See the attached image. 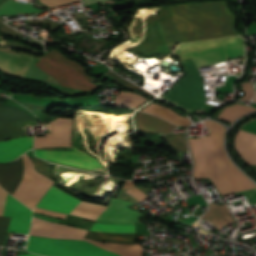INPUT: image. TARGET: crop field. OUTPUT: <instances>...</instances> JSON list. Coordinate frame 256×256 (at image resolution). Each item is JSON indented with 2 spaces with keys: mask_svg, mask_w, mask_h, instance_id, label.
Wrapping results in <instances>:
<instances>
[{
  "mask_svg": "<svg viewBox=\"0 0 256 256\" xmlns=\"http://www.w3.org/2000/svg\"><path fill=\"white\" fill-rule=\"evenodd\" d=\"M90 230L108 233H135L134 225L94 223ZM84 238L98 241L134 242L135 234H107L88 231ZM88 239L84 240L96 244L108 251L119 253L121 256H143V250L140 245L99 243Z\"/></svg>",
  "mask_w": 256,
  "mask_h": 256,
  "instance_id": "7",
  "label": "crop field"
},
{
  "mask_svg": "<svg viewBox=\"0 0 256 256\" xmlns=\"http://www.w3.org/2000/svg\"><path fill=\"white\" fill-rule=\"evenodd\" d=\"M129 194L134 196L137 200L142 201L143 199L147 198L145 194L142 193V191L134 188V189H128L126 190Z\"/></svg>",
  "mask_w": 256,
  "mask_h": 256,
  "instance_id": "28",
  "label": "crop field"
},
{
  "mask_svg": "<svg viewBox=\"0 0 256 256\" xmlns=\"http://www.w3.org/2000/svg\"><path fill=\"white\" fill-rule=\"evenodd\" d=\"M78 202L79 200L52 186L47 194L38 203L37 207L69 214V212L77 205Z\"/></svg>",
  "mask_w": 256,
  "mask_h": 256,
  "instance_id": "13",
  "label": "crop field"
},
{
  "mask_svg": "<svg viewBox=\"0 0 256 256\" xmlns=\"http://www.w3.org/2000/svg\"><path fill=\"white\" fill-rule=\"evenodd\" d=\"M3 216L11 217L8 231L28 234L32 212L10 195L7 196Z\"/></svg>",
  "mask_w": 256,
  "mask_h": 256,
  "instance_id": "12",
  "label": "crop field"
},
{
  "mask_svg": "<svg viewBox=\"0 0 256 256\" xmlns=\"http://www.w3.org/2000/svg\"><path fill=\"white\" fill-rule=\"evenodd\" d=\"M34 59L0 51V71L25 78Z\"/></svg>",
  "mask_w": 256,
  "mask_h": 256,
  "instance_id": "14",
  "label": "crop field"
},
{
  "mask_svg": "<svg viewBox=\"0 0 256 256\" xmlns=\"http://www.w3.org/2000/svg\"><path fill=\"white\" fill-rule=\"evenodd\" d=\"M104 0H85V5L90 4L91 2H102Z\"/></svg>",
  "mask_w": 256,
  "mask_h": 256,
  "instance_id": "33",
  "label": "crop field"
},
{
  "mask_svg": "<svg viewBox=\"0 0 256 256\" xmlns=\"http://www.w3.org/2000/svg\"><path fill=\"white\" fill-rule=\"evenodd\" d=\"M23 172L22 158L12 165H0V186L12 195L23 176Z\"/></svg>",
  "mask_w": 256,
  "mask_h": 256,
  "instance_id": "16",
  "label": "crop field"
},
{
  "mask_svg": "<svg viewBox=\"0 0 256 256\" xmlns=\"http://www.w3.org/2000/svg\"><path fill=\"white\" fill-rule=\"evenodd\" d=\"M130 187H134V184L132 181H127L124 188H130Z\"/></svg>",
  "mask_w": 256,
  "mask_h": 256,
  "instance_id": "32",
  "label": "crop field"
},
{
  "mask_svg": "<svg viewBox=\"0 0 256 256\" xmlns=\"http://www.w3.org/2000/svg\"><path fill=\"white\" fill-rule=\"evenodd\" d=\"M253 101H256V97L254 98V100Z\"/></svg>",
  "mask_w": 256,
  "mask_h": 256,
  "instance_id": "35",
  "label": "crop field"
},
{
  "mask_svg": "<svg viewBox=\"0 0 256 256\" xmlns=\"http://www.w3.org/2000/svg\"><path fill=\"white\" fill-rule=\"evenodd\" d=\"M167 145L177 154L187 152L185 132L165 135L163 138Z\"/></svg>",
  "mask_w": 256,
  "mask_h": 256,
  "instance_id": "20",
  "label": "crop field"
},
{
  "mask_svg": "<svg viewBox=\"0 0 256 256\" xmlns=\"http://www.w3.org/2000/svg\"><path fill=\"white\" fill-rule=\"evenodd\" d=\"M49 125L51 134H47L46 137H36L35 148L70 146L72 119L58 118ZM35 155L89 169L103 167L70 147L39 148L35 149Z\"/></svg>",
  "mask_w": 256,
  "mask_h": 256,
  "instance_id": "4",
  "label": "crop field"
},
{
  "mask_svg": "<svg viewBox=\"0 0 256 256\" xmlns=\"http://www.w3.org/2000/svg\"><path fill=\"white\" fill-rule=\"evenodd\" d=\"M146 100L138 94L121 91L113 104L136 108Z\"/></svg>",
  "mask_w": 256,
  "mask_h": 256,
  "instance_id": "21",
  "label": "crop field"
},
{
  "mask_svg": "<svg viewBox=\"0 0 256 256\" xmlns=\"http://www.w3.org/2000/svg\"><path fill=\"white\" fill-rule=\"evenodd\" d=\"M176 55L180 60L192 57L199 68L243 56L244 40L232 37L179 44ZM192 58L181 61L186 75L161 96L184 111L205 107L203 84Z\"/></svg>",
  "mask_w": 256,
  "mask_h": 256,
  "instance_id": "1",
  "label": "crop field"
},
{
  "mask_svg": "<svg viewBox=\"0 0 256 256\" xmlns=\"http://www.w3.org/2000/svg\"><path fill=\"white\" fill-rule=\"evenodd\" d=\"M23 159L25 166L24 176L12 196L18 198L26 206L33 209L53 182L34 170V165L27 154L23 155Z\"/></svg>",
  "mask_w": 256,
  "mask_h": 256,
  "instance_id": "10",
  "label": "crop field"
},
{
  "mask_svg": "<svg viewBox=\"0 0 256 256\" xmlns=\"http://www.w3.org/2000/svg\"><path fill=\"white\" fill-rule=\"evenodd\" d=\"M73 1H76V0H38L39 3L49 8L60 6Z\"/></svg>",
  "mask_w": 256,
  "mask_h": 256,
  "instance_id": "25",
  "label": "crop field"
},
{
  "mask_svg": "<svg viewBox=\"0 0 256 256\" xmlns=\"http://www.w3.org/2000/svg\"><path fill=\"white\" fill-rule=\"evenodd\" d=\"M22 121H33L20 110L0 105V141L22 136ZM33 146V137L0 142V162L10 161Z\"/></svg>",
  "mask_w": 256,
  "mask_h": 256,
  "instance_id": "5",
  "label": "crop field"
},
{
  "mask_svg": "<svg viewBox=\"0 0 256 256\" xmlns=\"http://www.w3.org/2000/svg\"><path fill=\"white\" fill-rule=\"evenodd\" d=\"M63 224L86 229V230H89V228L92 226V223L89 221H84L81 218H77L69 215H67Z\"/></svg>",
  "mask_w": 256,
  "mask_h": 256,
  "instance_id": "22",
  "label": "crop field"
},
{
  "mask_svg": "<svg viewBox=\"0 0 256 256\" xmlns=\"http://www.w3.org/2000/svg\"><path fill=\"white\" fill-rule=\"evenodd\" d=\"M234 143L237 153L247 165L256 164V135L240 130Z\"/></svg>",
  "mask_w": 256,
  "mask_h": 256,
  "instance_id": "15",
  "label": "crop field"
},
{
  "mask_svg": "<svg viewBox=\"0 0 256 256\" xmlns=\"http://www.w3.org/2000/svg\"><path fill=\"white\" fill-rule=\"evenodd\" d=\"M256 110L253 107L241 105V104H232L227 107H225L219 114L218 118L228 121L232 123L235 119L253 111Z\"/></svg>",
  "mask_w": 256,
  "mask_h": 256,
  "instance_id": "19",
  "label": "crop field"
},
{
  "mask_svg": "<svg viewBox=\"0 0 256 256\" xmlns=\"http://www.w3.org/2000/svg\"><path fill=\"white\" fill-rule=\"evenodd\" d=\"M240 85H241L242 90L245 93V96H243L239 100H251L254 95V89H253L252 85L248 84V83H243Z\"/></svg>",
  "mask_w": 256,
  "mask_h": 256,
  "instance_id": "26",
  "label": "crop field"
},
{
  "mask_svg": "<svg viewBox=\"0 0 256 256\" xmlns=\"http://www.w3.org/2000/svg\"><path fill=\"white\" fill-rule=\"evenodd\" d=\"M36 66L81 92L93 86L89 81L92 79L86 75V69L57 50H49Z\"/></svg>",
  "mask_w": 256,
  "mask_h": 256,
  "instance_id": "6",
  "label": "crop field"
},
{
  "mask_svg": "<svg viewBox=\"0 0 256 256\" xmlns=\"http://www.w3.org/2000/svg\"><path fill=\"white\" fill-rule=\"evenodd\" d=\"M241 129L256 134V119L243 125Z\"/></svg>",
  "mask_w": 256,
  "mask_h": 256,
  "instance_id": "29",
  "label": "crop field"
},
{
  "mask_svg": "<svg viewBox=\"0 0 256 256\" xmlns=\"http://www.w3.org/2000/svg\"><path fill=\"white\" fill-rule=\"evenodd\" d=\"M20 256H39V255L29 254V255H20Z\"/></svg>",
  "mask_w": 256,
  "mask_h": 256,
  "instance_id": "34",
  "label": "crop field"
},
{
  "mask_svg": "<svg viewBox=\"0 0 256 256\" xmlns=\"http://www.w3.org/2000/svg\"><path fill=\"white\" fill-rule=\"evenodd\" d=\"M86 233V230L60 225L33 217L30 235L82 240Z\"/></svg>",
  "mask_w": 256,
  "mask_h": 256,
  "instance_id": "11",
  "label": "crop field"
},
{
  "mask_svg": "<svg viewBox=\"0 0 256 256\" xmlns=\"http://www.w3.org/2000/svg\"><path fill=\"white\" fill-rule=\"evenodd\" d=\"M132 203L120 199L112 198L108 207L104 208L80 202L70 214L85 217L91 220L109 222L114 224H134L133 221L139 222L138 216L142 215L126 206Z\"/></svg>",
  "mask_w": 256,
  "mask_h": 256,
  "instance_id": "9",
  "label": "crop field"
},
{
  "mask_svg": "<svg viewBox=\"0 0 256 256\" xmlns=\"http://www.w3.org/2000/svg\"><path fill=\"white\" fill-rule=\"evenodd\" d=\"M107 75L112 76L113 78L117 79L118 81L122 82L123 84H125L126 86H128V87H130V88H136V89H138V90H140V91H142V92H144V93H146V94H149V93H147L146 91H144V90H142V89L136 87L134 84H132V83H130V82H128V81H126V80H124V79L118 77L119 75L117 76V75H116L115 73H113V72H108ZM149 95L151 96V98L154 97V96L151 95V94H149Z\"/></svg>",
  "mask_w": 256,
  "mask_h": 256,
  "instance_id": "27",
  "label": "crop field"
},
{
  "mask_svg": "<svg viewBox=\"0 0 256 256\" xmlns=\"http://www.w3.org/2000/svg\"><path fill=\"white\" fill-rule=\"evenodd\" d=\"M143 111L158 115L178 125H185L187 127L191 123L188 118L181 117L179 116V114L172 111L171 109L156 105L154 103L150 104Z\"/></svg>",
  "mask_w": 256,
  "mask_h": 256,
  "instance_id": "18",
  "label": "crop field"
},
{
  "mask_svg": "<svg viewBox=\"0 0 256 256\" xmlns=\"http://www.w3.org/2000/svg\"><path fill=\"white\" fill-rule=\"evenodd\" d=\"M10 218L0 217V246H3Z\"/></svg>",
  "mask_w": 256,
  "mask_h": 256,
  "instance_id": "24",
  "label": "crop field"
},
{
  "mask_svg": "<svg viewBox=\"0 0 256 256\" xmlns=\"http://www.w3.org/2000/svg\"><path fill=\"white\" fill-rule=\"evenodd\" d=\"M138 127L146 132H164L169 133L173 130L175 125L161 120L160 118L145 113L137 114Z\"/></svg>",
  "mask_w": 256,
  "mask_h": 256,
  "instance_id": "17",
  "label": "crop field"
},
{
  "mask_svg": "<svg viewBox=\"0 0 256 256\" xmlns=\"http://www.w3.org/2000/svg\"><path fill=\"white\" fill-rule=\"evenodd\" d=\"M34 165H35V170L39 173H41L42 175L50 178V174H49V169L51 167L52 164L46 162V161H42L39 160L37 158H32Z\"/></svg>",
  "mask_w": 256,
  "mask_h": 256,
  "instance_id": "23",
  "label": "crop field"
},
{
  "mask_svg": "<svg viewBox=\"0 0 256 256\" xmlns=\"http://www.w3.org/2000/svg\"><path fill=\"white\" fill-rule=\"evenodd\" d=\"M6 196H7V193L3 191L0 187V216H2L3 214Z\"/></svg>",
  "mask_w": 256,
  "mask_h": 256,
  "instance_id": "30",
  "label": "crop field"
},
{
  "mask_svg": "<svg viewBox=\"0 0 256 256\" xmlns=\"http://www.w3.org/2000/svg\"><path fill=\"white\" fill-rule=\"evenodd\" d=\"M170 7L173 16L158 22L167 44L239 34L226 0Z\"/></svg>",
  "mask_w": 256,
  "mask_h": 256,
  "instance_id": "2",
  "label": "crop field"
},
{
  "mask_svg": "<svg viewBox=\"0 0 256 256\" xmlns=\"http://www.w3.org/2000/svg\"><path fill=\"white\" fill-rule=\"evenodd\" d=\"M27 251L51 256H114L86 241L56 240L29 236Z\"/></svg>",
  "mask_w": 256,
  "mask_h": 256,
  "instance_id": "8",
  "label": "crop field"
},
{
  "mask_svg": "<svg viewBox=\"0 0 256 256\" xmlns=\"http://www.w3.org/2000/svg\"><path fill=\"white\" fill-rule=\"evenodd\" d=\"M34 211L36 212H40V213H44V214H48V215H52V216H56V217H59V218H65L66 215L64 214H59V213H54V212H49V211H44V210H40V209H34Z\"/></svg>",
  "mask_w": 256,
  "mask_h": 256,
  "instance_id": "31",
  "label": "crop field"
},
{
  "mask_svg": "<svg viewBox=\"0 0 256 256\" xmlns=\"http://www.w3.org/2000/svg\"><path fill=\"white\" fill-rule=\"evenodd\" d=\"M205 125L210 136L188 139L195 162L194 178L210 177L220 195L256 188L226 156L223 149L225 127L211 120H206Z\"/></svg>",
  "mask_w": 256,
  "mask_h": 256,
  "instance_id": "3",
  "label": "crop field"
}]
</instances>
